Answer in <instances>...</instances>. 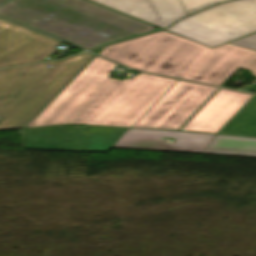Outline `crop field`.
Returning a JSON list of instances; mask_svg holds the SVG:
<instances>
[{
  "label": "crop field",
  "instance_id": "obj_8",
  "mask_svg": "<svg viewBox=\"0 0 256 256\" xmlns=\"http://www.w3.org/2000/svg\"><path fill=\"white\" fill-rule=\"evenodd\" d=\"M59 42L0 19V68L41 61Z\"/></svg>",
  "mask_w": 256,
  "mask_h": 256
},
{
  "label": "crop field",
  "instance_id": "obj_1",
  "mask_svg": "<svg viewBox=\"0 0 256 256\" xmlns=\"http://www.w3.org/2000/svg\"><path fill=\"white\" fill-rule=\"evenodd\" d=\"M115 64L95 60L28 126L62 123L133 127L177 82L145 74L109 78Z\"/></svg>",
  "mask_w": 256,
  "mask_h": 256
},
{
  "label": "crop field",
  "instance_id": "obj_4",
  "mask_svg": "<svg viewBox=\"0 0 256 256\" xmlns=\"http://www.w3.org/2000/svg\"><path fill=\"white\" fill-rule=\"evenodd\" d=\"M207 50L160 32L106 47L101 55L141 71L181 78Z\"/></svg>",
  "mask_w": 256,
  "mask_h": 256
},
{
  "label": "crop field",
  "instance_id": "obj_7",
  "mask_svg": "<svg viewBox=\"0 0 256 256\" xmlns=\"http://www.w3.org/2000/svg\"><path fill=\"white\" fill-rule=\"evenodd\" d=\"M217 90L178 81L134 127L179 130Z\"/></svg>",
  "mask_w": 256,
  "mask_h": 256
},
{
  "label": "crop field",
  "instance_id": "obj_16",
  "mask_svg": "<svg viewBox=\"0 0 256 256\" xmlns=\"http://www.w3.org/2000/svg\"><path fill=\"white\" fill-rule=\"evenodd\" d=\"M230 44L256 50V33L245 38L239 39L237 41L230 42Z\"/></svg>",
  "mask_w": 256,
  "mask_h": 256
},
{
  "label": "crop field",
  "instance_id": "obj_14",
  "mask_svg": "<svg viewBox=\"0 0 256 256\" xmlns=\"http://www.w3.org/2000/svg\"><path fill=\"white\" fill-rule=\"evenodd\" d=\"M218 133L256 137V95Z\"/></svg>",
  "mask_w": 256,
  "mask_h": 256
},
{
  "label": "crop field",
  "instance_id": "obj_3",
  "mask_svg": "<svg viewBox=\"0 0 256 256\" xmlns=\"http://www.w3.org/2000/svg\"><path fill=\"white\" fill-rule=\"evenodd\" d=\"M93 57L85 53L28 69L0 70V130L25 127Z\"/></svg>",
  "mask_w": 256,
  "mask_h": 256
},
{
  "label": "crop field",
  "instance_id": "obj_6",
  "mask_svg": "<svg viewBox=\"0 0 256 256\" xmlns=\"http://www.w3.org/2000/svg\"><path fill=\"white\" fill-rule=\"evenodd\" d=\"M127 129L71 126L25 130L26 149L107 152Z\"/></svg>",
  "mask_w": 256,
  "mask_h": 256
},
{
  "label": "crop field",
  "instance_id": "obj_9",
  "mask_svg": "<svg viewBox=\"0 0 256 256\" xmlns=\"http://www.w3.org/2000/svg\"><path fill=\"white\" fill-rule=\"evenodd\" d=\"M239 67L256 75V51L227 44L208 52L184 79L222 86Z\"/></svg>",
  "mask_w": 256,
  "mask_h": 256
},
{
  "label": "crop field",
  "instance_id": "obj_2",
  "mask_svg": "<svg viewBox=\"0 0 256 256\" xmlns=\"http://www.w3.org/2000/svg\"><path fill=\"white\" fill-rule=\"evenodd\" d=\"M0 16L85 49L155 28L85 0H13L0 9Z\"/></svg>",
  "mask_w": 256,
  "mask_h": 256
},
{
  "label": "crop field",
  "instance_id": "obj_5",
  "mask_svg": "<svg viewBox=\"0 0 256 256\" xmlns=\"http://www.w3.org/2000/svg\"><path fill=\"white\" fill-rule=\"evenodd\" d=\"M168 31L210 47L256 31V0L217 5L189 17Z\"/></svg>",
  "mask_w": 256,
  "mask_h": 256
},
{
  "label": "crop field",
  "instance_id": "obj_17",
  "mask_svg": "<svg viewBox=\"0 0 256 256\" xmlns=\"http://www.w3.org/2000/svg\"><path fill=\"white\" fill-rule=\"evenodd\" d=\"M5 1H7V0H0V5H1L2 3H4Z\"/></svg>",
  "mask_w": 256,
  "mask_h": 256
},
{
  "label": "crop field",
  "instance_id": "obj_10",
  "mask_svg": "<svg viewBox=\"0 0 256 256\" xmlns=\"http://www.w3.org/2000/svg\"><path fill=\"white\" fill-rule=\"evenodd\" d=\"M130 130V129H129ZM215 135L162 130L131 129L114 147L203 153ZM174 137V144L161 138Z\"/></svg>",
  "mask_w": 256,
  "mask_h": 256
},
{
  "label": "crop field",
  "instance_id": "obj_18",
  "mask_svg": "<svg viewBox=\"0 0 256 256\" xmlns=\"http://www.w3.org/2000/svg\"><path fill=\"white\" fill-rule=\"evenodd\" d=\"M216 1L219 3V2H223V1H227V0H216Z\"/></svg>",
  "mask_w": 256,
  "mask_h": 256
},
{
  "label": "crop field",
  "instance_id": "obj_12",
  "mask_svg": "<svg viewBox=\"0 0 256 256\" xmlns=\"http://www.w3.org/2000/svg\"><path fill=\"white\" fill-rule=\"evenodd\" d=\"M148 23L166 28L186 16L180 0H90Z\"/></svg>",
  "mask_w": 256,
  "mask_h": 256
},
{
  "label": "crop field",
  "instance_id": "obj_13",
  "mask_svg": "<svg viewBox=\"0 0 256 256\" xmlns=\"http://www.w3.org/2000/svg\"><path fill=\"white\" fill-rule=\"evenodd\" d=\"M204 153L256 157V139L216 135Z\"/></svg>",
  "mask_w": 256,
  "mask_h": 256
},
{
  "label": "crop field",
  "instance_id": "obj_11",
  "mask_svg": "<svg viewBox=\"0 0 256 256\" xmlns=\"http://www.w3.org/2000/svg\"><path fill=\"white\" fill-rule=\"evenodd\" d=\"M252 96L221 89L182 130L217 133Z\"/></svg>",
  "mask_w": 256,
  "mask_h": 256
},
{
  "label": "crop field",
  "instance_id": "obj_15",
  "mask_svg": "<svg viewBox=\"0 0 256 256\" xmlns=\"http://www.w3.org/2000/svg\"><path fill=\"white\" fill-rule=\"evenodd\" d=\"M181 2L188 15L216 4L215 0H181Z\"/></svg>",
  "mask_w": 256,
  "mask_h": 256
}]
</instances>
